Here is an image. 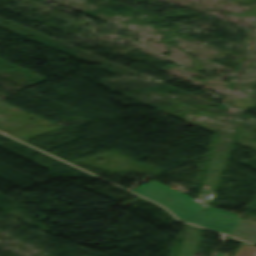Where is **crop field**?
Here are the masks:
<instances>
[{"label": "crop field", "mask_w": 256, "mask_h": 256, "mask_svg": "<svg viewBox=\"0 0 256 256\" xmlns=\"http://www.w3.org/2000/svg\"><path fill=\"white\" fill-rule=\"evenodd\" d=\"M235 256H256V247L241 244Z\"/></svg>", "instance_id": "34b2d1b8"}, {"label": "crop field", "mask_w": 256, "mask_h": 256, "mask_svg": "<svg viewBox=\"0 0 256 256\" xmlns=\"http://www.w3.org/2000/svg\"><path fill=\"white\" fill-rule=\"evenodd\" d=\"M217 256H226V255H220V254H217Z\"/></svg>", "instance_id": "412701ff"}, {"label": "crop field", "mask_w": 256, "mask_h": 256, "mask_svg": "<svg viewBox=\"0 0 256 256\" xmlns=\"http://www.w3.org/2000/svg\"><path fill=\"white\" fill-rule=\"evenodd\" d=\"M132 191L170 209L179 219L231 234L241 218L235 213L206 207L207 212L192 198L154 180Z\"/></svg>", "instance_id": "8a807250"}, {"label": "crop field", "mask_w": 256, "mask_h": 256, "mask_svg": "<svg viewBox=\"0 0 256 256\" xmlns=\"http://www.w3.org/2000/svg\"><path fill=\"white\" fill-rule=\"evenodd\" d=\"M231 235L256 244V222L241 219Z\"/></svg>", "instance_id": "ac0d7876"}]
</instances>
